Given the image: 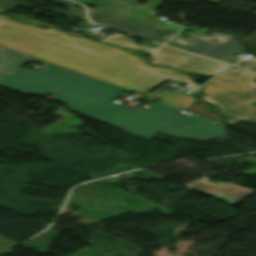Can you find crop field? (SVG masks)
<instances>
[{
	"label": "crop field",
	"instance_id": "crop-field-1",
	"mask_svg": "<svg viewBox=\"0 0 256 256\" xmlns=\"http://www.w3.org/2000/svg\"><path fill=\"white\" fill-rule=\"evenodd\" d=\"M27 61L44 63L42 71L18 69L0 85L25 94H53L69 109L99 121L122 128L151 140L156 133L174 137L208 140L217 137L226 140L225 124L204 116L186 119L171 113L178 109L157 101L147 110L115 100L124 90L93 80L47 61L31 56Z\"/></svg>",
	"mask_w": 256,
	"mask_h": 256
},
{
	"label": "crop field",
	"instance_id": "crop-field-2",
	"mask_svg": "<svg viewBox=\"0 0 256 256\" xmlns=\"http://www.w3.org/2000/svg\"><path fill=\"white\" fill-rule=\"evenodd\" d=\"M66 34L18 23L0 15V44L3 46L143 95L168 79L188 83L184 86L188 90L198 87L188 75L150 66L129 52Z\"/></svg>",
	"mask_w": 256,
	"mask_h": 256
},
{
	"label": "crop field",
	"instance_id": "crop-field-3",
	"mask_svg": "<svg viewBox=\"0 0 256 256\" xmlns=\"http://www.w3.org/2000/svg\"><path fill=\"white\" fill-rule=\"evenodd\" d=\"M256 74L231 69L204 86L202 99L219 106L220 113L233 117L227 124L245 119L256 123Z\"/></svg>",
	"mask_w": 256,
	"mask_h": 256
},
{
	"label": "crop field",
	"instance_id": "crop-field-4",
	"mask_svg": "<svg viewBox=\"0 0 256 256\" xmlns=\"http://www.w3.org/2000/svg\"><path fill=\"white\" fill-rule=\"evenodd\" d=\"M129 40L133 42L130 43ZM100 41L107 42L118 47L145 51L151 55L152 60L150 62L169 65L184 71H195L204 75H214L228 67L222 63L195 57L163 46L152 48L138 45L135 44L134 40L127 38L120 33L107 35Z\"/></svg>",
	"mask_w": 256,
	"mask_h": 256
},
{
	"label": "crop field",
	"instance_id": "crop-field-5",
	"mask_svg": "<svg viewBox=\"0 0 256 256\" xmlns=\"http://www.w3.org/2000/svg\"><path fill=\"white\" fill-rule=\"evenodd\" d=\"M89 17L90 20L96 24H100L109 28H113L122 32H126L132 35H136L160 43L166 42L170 37H172L175 34L160 28H156L134 20L123 18L121 16L98 9H89ZM153 30L167 33L168 36L163 39H159V35L153 33Z\"/></svg>",
	"mask_w": 256,
	"mask_h": 256
},
{
	"label": "crop field",
	"instance_id": "crop-field-6",
	"mask_svg": "<svg viewBox=\"0 0 256 256\" xmlns=\"http://www.w3.org/2000/svg\"><path fill=\"white\" fill-rule=\"evenodd\" d=\"M183 186L198 192L208 193L212 198L225 203L240 202L256 192L255 190L243 188L230 182L224 185H217L204 178L183 184Z\"/></svg>",
	"mask_w": 256,
	"mask_h": 256
},
{
	"label": "crop field",
	"instance_id": "crop-field-7",
	"mask_svg": "<svg viewBox=\"0 0 256 256\" xmlns=\"http://www.w3.org/2000/svg\"><path fill=\"white\" fill-rule=\"evenodd\" d=\"M167 44L218 61L224 59L235 51H240L243 49V47L239 45L235 39H232L220 46L204 41H197L190 46H185L172 41L168 42Z\"/></svg>",
	"mask_w": 256,
	"mask_h": 256
},
{
	"label": "crop field",
	"instance_id": "crop-field-8",
	"mask_svg": "<svg viewBox=\"0 0 256 256\" xmlns=\"http://www.w3.org/2000/svg\"><path fill=\"white\" fill-rule=\"evenodd\" d=\"M29 56L0 45V81L11 75Z\"/></svg>",
	"mask_w": 256,
	"mask_h": 256
},
{
	"label": "crop field",
	"instance_id": "crop-field-9",
	"mask_svg": "<svg viewBox=\"0 0 256 256\" xmlns=\"http://www.w3.org/2000/svg\"><path fill=\"white\" fill-rule=\"evenodd\" d=\"M158 14H159L158 12L151 11V10L134 5L124 14H122V16L135 19V20H138L147 24H151L157 27H161V28H167L175 31H178L180 29L178 27H174L171 25L158 22L157 19L155 18V16Z\"/></svg>",
	"mask_w": 256,
	"mask_h": 256
},
{
	"label": "crop field",
	"instance_id": "crop-field-10",
	"mask_svg": "<svg viewBox=\"0 0 256 256\" xmlns=\"http://www.w3.org/2000/svg\"><path fill=\"white\" fill-rule=\"evenodd\" d=\"M74 1H77L82 4H94L97 6L98 9H102L118 15H121L131 6H133V4L122 2L119 0H114L117 3H111V2H108V0H74Z\"/></svg>",
	"mask_w": 256,
	"mask_h": 256
},
{
	"label": "crop field",
	"instance_id": "crop-field-11",
	"mask_svg": "<svg viewBox=\"0 0 256 256\" xmlns=\"http://www.w3.org/2000/svg\"><path fill=\"white\" fill-rule=\"evenodd\" d=\"M183 37V35L178 34L174 39H172L173 41H177L180 43H183L185 45H190L193 42L197 41V40H204V41H208V42H212L215 43L217 45H220L230 39H232V36L227 35V34H221V33H213L207 37H200V36H196L193 38H188V39H181Z\"/></svg>",
	"mask_w": 256,
	"mask_h": 256
},
{
	"label": "crop field",
	"instance_id": "crop-field-12",
	"mask_svg": "<svg viewBox=\"0 0 256 256\" xmlns=\"http://www.w3.org/2000/svg\"><path fill=\"white\" fill-rule=\"evenodd\" d=\"M162 101H165L167 103L176 105L178 107H181L183 109L189 107L193 103H195V100L193 99L192 96L188 95L184 90H181L173 95H170Z\"/></svg>",
	"mask_w": 256,
	"mask_h": 256
},
{
	"label": "crop field",
	"instance_id": "crop-field-13",
	"mask_svg": "<svg viewBox=\"0 0 256 256\" xmlns=\"http://www.w3.org/2000/svg\"><path fill=\"white\" fill-rule=\"evenodd\" d=\"M51 1L64 4V5H66V6L71 8L69 11L52 10V12H57V13H61V14H65V15L71 16V17H75V18H80V19L86 20V18H85V11L74 9V7H73L74 3H70V2H67V1H64V0H51Z\"/></svg>",
	"mask_w": 256,
	"mask_h": 256
},
{
	"label": "crop field",
	"instance_id": "crop-field-14",
	"mask_svg": "<svg viewBox=\"0 0 256 256\" xmlns=\"http://www.w3.org/2000/svg\"><path fill=\"white\" fill-rule=\"evenodd\" d=\"M122 1H126V2H129V3H133V4H136V5L142 6V5L138 4V2H136L134 0H122ZM145 1H147L148 3L143 5L142 7H146V8L152 9V10L160 7V5H161V1L160 0H145Z\"/></svg>",
	"mask_w": 256,
	"mask_h": 256
},
{
	"label": "crop field",
	"instance_id": "crop-field-15",
	"mask_svg": "<svg viewBox=\"0 0 256 256\" xmlns=\"http://www.w3.org/2000/svg\"><path fill=\"white\" fill-rule=\"evenodd\" d=\"M255 65H256V61H242V62L236 64V66L243 67V68H248V67H252Z\"/></svg>",
	"mask_w": 256,
	"mask_h": 256
},
{
	"label": "crop field",
	"instance_id": "crop-field-16",
	"mask_svg": "<svg viewBox=\"0 0 256 256\" xmlns=\"http://www.w3.org/2000/svg\"><path fill=\"white\" fill-rule=\"evenodd\" d=\"M159 90H161V88L155 90L154 92H157V91H159ZM162 90H163V89H162ZM154 92H152V93H154ZM170 92H172V91H170V90H167V91L163 90L162 92L157 93V94H155V95H152V96H150V97H153V98H155V99H158V98H160V97H162V96H164V95H166V94H168V93H170ZM152 93H151V94H152Z\"/></svg>",
	"mask_w": 256,
	"mask_h": 256
},
{
	"label": "crop field",
	"instance_id": "crop-field-17",
	"mask_svg": "<svg viewBox=\"0 0 256 256\" xmlns=\"http://www.w3.org/2000/svg\"><path fill=\"white\" fill-rule=\"evenodd\" d=\"M195 32L198 34H205V32H200V31H196V30H195Z\"/></svg>",
	"mask_w": 256,
	"mask_h": 256
},
{
	"label": "crop field",
	"instance_id": "crop-field-18",
	"mask_svg": "<svg viewBox=\"0 0 256 256\" xmlns=\"http://www.w3.org/2000/svg\"><path fill=\"white\" fill-rule=\"evenodd\" d=\"M249 70L256 72V67L249 69Z\"/></svg>",
	"mask_w": 256,
	"mask_h": 256
},
{
	"label": "crop field",
	"instance_id": "crop-field-19",
	"mask_svg": "<svg viewBox=\"0 0 256 256\" xmlns=\"http://www.w3.org/2000/svg\"><path fill=\"white\" fill-rule=\"evenodd\" d=\"M0 12H3V10H0Z\"/></svg>",
	"mask_w": 256,
	"mask_h": 256
}]
</instances>
